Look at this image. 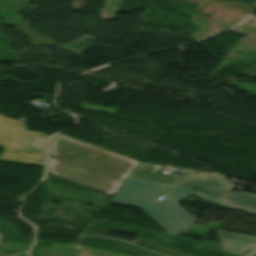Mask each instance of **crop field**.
<instances>
[{
  "label": "crop field",
  "instance_id": "obj_1",
  "mask_svg": "<svg viewBox=\"0 0 256 256\" xmlns=\"http://www.w3.org/2000/svg\"><path fill=\"white\" fill-rule=\"evenodd\" d=\"M172 186L129 177L110 202L137 207L167 233L180 234L197 221L178 205L186 197L191 195L213 203L224 198L176 185L163 195V200L156 199Z\"/></svg>",
  "mask_w": 256,
  "mask_h": 256
},
{
  "label": "crop field",
  "instance_id": "obj_2",
  "mask_svg": "<svg viewBox=\"0 0 256 256\" xmlns=\"http://www.w3.org/2000/svg\"><path fill=\"white\" fill-rule=\"evenodd\" d=\"M49 156L122 181L139 163L60 134L50 140Z\"/></svg>",
  "mask_w": 256,
  "mask_h": 256
},
{
  "label": "crop field",
  "instance_id": "obj_3",
  "mask_svg": "<svg viewBox=\"0 0 256 256\" xmlns=\"http://www.w3.org/2000/svg\"><path fill=\"white\" fill-rule=\"evenodd\" d=\"M47 134L29 132L25 123L0 115V161L44 165Z\"/></svg>",
  "mask_w": 256,
  "mask_h": 256
},
{
  "label": "crop field",
  "instance_id": "obj_4",
  "mask_svg": "<svg viewBox=\"0 0 256 256\" xmlns=\"http://www.w3.org/2000/svg\"><path fill=\"white\" fill-rule=\"evenodd\" d=\"M47 173L112 196L123 183L49 157Z\"/></svg>",
  "mask_w": 256,
  "mask_h": 256
},
{
  "label": "crop field",
  "instance_id": "obj_5",
  "mask_svg": "<svg viewBox=\"0 0 256 256\" xmlns=\"http://www.w3.org/2000/svg\"><path fill=\"white\" fill-rule=\"evenodd\" d=\"M224 180L225 178L219 175L204 173L199 176L189 171L178 184L225 196L235 186Z\"/></svg>",
  "mask_w": 256,
  "mask_h": 256
},
{
  "label": "crop field",
  "instance_id": "obj_6",
  "mask_svg": "<svg viewBox=\"0 0 256 256\" xmlns=\"http://www.w3.org/2000/svg\"><path fill=\"white\" fill-rule=\"evenodd\" d=\"M220 249L222 251L244 256L256 245V238L219 231Z\"/></svg>",
  "mask_w": 256,
  "mask_h": 256
},
{
  "label": "crop field",
  "instance_id": "obj_7",
  "mask_svg": "<svg viewBox=\"0 0 256 256\" xmlns=\"http://www.w3.org/2000/svg\"><path fill=\"white\" fill-rule=\"evenodd\" d=\"M219 204L247 210L251 214L256 215V197H252L237 192H232L222 201H220Z\"/></svg>",
  "mask_w": 256,
  "mask_h": 256
},
{
  "label": "crop field",
  "instance_id": "obj_8",
  "mask_svg": "<svg viewBox=\"0 0 256 256\" xmlns=\"http://www.w3.org/2000/svg\"><path fill=\"white\" fill-rule=\"evenodd\" d=\"M246 256H256V246Z\"/></svg>",
  "mask_w": 256,
  "mask_h": 256
},
{
  "label": "crop field",
  "instance_id": "obj_9",
  "mask_svg": "<svg viewBox=\"0 0 256 256\" xmlns=\"http://www.w3.org/2000/svg\"><path fill=\"white\" fill-rule=\"evenodd\" d=\"M0 246H2L1 234H0Z\"/></svg>",
  "mask_w": 256,
  "mask_h": 256
},
{
  "label": "crop field",
  "instance_id": "obj_10",
  "mask_svg": "<svg viewBox=\"0 0 256 256\" xmlns=\"http://www.w3.org/2000/svg\"><path fill=\"white\" fill-rule=\"evenodd\" d=\"M256 170V169H255Z\"/></svg>",
  "mask_w": 256,
  "mask_h": 256
}]
</instances>
